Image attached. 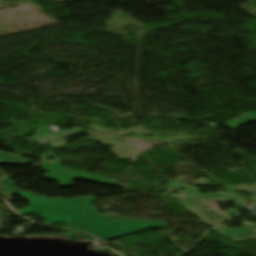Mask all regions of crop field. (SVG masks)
<instances>
[{"label": "crop field", "instance_id": "1", "mask_svg": "<svg viewBox=\"0 0 256 256\" xmlns=\"http://www.w3.org/2000/svg\"><path fill=\"white\" fill-rule=\"evenodd\" d=\"M7 185L6 190L8 195L18 194L31 201V207L18 211L23 216L30 213H39L43 218L48 221L44 225H50L57 222L67 223L70 228L76 229L79 227L84 206L85 198H79L76 200L65 199H47L22 190L15 188V185L10 180L3 179ZM21 191L20 193H14L11 189Z\"/></svg>", "mask_w": 256, "mask_h": 256}, {"label": "crop field", "instance_id": "2", "mask_svg": "<svg viewBox=\"0 0 256 256\" xmlns=\"http://www.w3.org/2000/svg\"><path fill=\"white\" fill-rule=\"evenodd\" d=\"M94 197L88 198L87 210L84 222L80 230L88 231L101 240L127 236L144 228H162L167 226L160 221H114L110 217L96 214V210L90 207Z\"/></svg>", "mask_w": 256, "mask_h": 256}, {"label": "crop field", "instance_id": "3", "mask_svg": "<svg viewBox=\"0 0 256 256\" xmlns=\"http://www.w3.org/2000/svg\"><path fill=\"white\" fill-rule=\"evenodd\" d=\"M47 157L55 158L56 163L47 162ZM42 159H43V164H42L41 168H43V169L52 170V171H56V172L76 176V177H79L81 179L92 180V181L105 183V184H109V185L115 184L114 182L107 181V180L103 179L102 177H98V176L85 174V173H81V172H77V171L67 169V168L63 167L62 165H60L59 158L57 156H55L54 154L44 155V156H42ZM52 171L50 173H48L45 177L52 178V179H55V180L59 181L61 186L70 185V182L76 179V178H72V177H69V176L54 173Z\"/></svg>", "mask_w": 256, "mask_h": 256}, {"label": "crop field", "instance_id": "4", "mask_svg": "<svg viewBox=\"0 0 256 256\" xmlns=\"http://www.w3.org/2000/svg\"><path fill=\"white\" fill-rule=\"evenodd\" d=\"M243 117V116H242ZM247 121H256V112L252 113L248 116H245L243 118L237 119V120H233L225 125H227L228 127L232 128L233 130H236L237 127Z\"/></svg>", "mask_w": 256, "mask_h": 256}, {"label": "crop field", "instance_id": "5", "mask_svg": "<svg viewBox=\"0 0 256 256\" xmlns=\"http://www.w3.org/2000/svg\"><path fill=\"white\" fill-rule=\"evenodd\" d=\"M29 160L10 156L7 154H4L0 152V163H5V164H18V163H25L27 164Z\"/></svg>", "mask_w": 256, "mask_h": 256}]
</instances>
